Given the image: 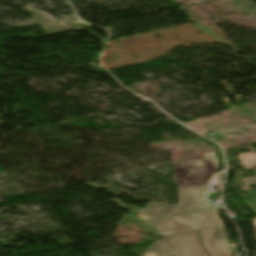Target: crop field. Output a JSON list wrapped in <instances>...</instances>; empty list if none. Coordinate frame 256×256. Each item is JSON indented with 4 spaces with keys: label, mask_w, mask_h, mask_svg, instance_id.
I'll return each instance as SVG.
<instances>
[{
    "label": "crop field",
    "mask_w": 256,
    "mask_h": 256,
    "mask_svg": "<svg viewBox=\"0 0 256 256\" xmlns=\"http://www.w3.org/2000/svg\"><path fill=\"white\" fill-rule=\"evenodd\" d=\"M183 5H186V4H192V2H190L189 0H175Z\"/></svg>",
    "instance_id": "d8731c3e"
},
{
    "label": "crop field",
    "mask_w": 256,
    "mask_h": 256,
    "mask_svg": "<svg viewBox=\"0 0 256 256\" xmlns=\"http://www.w3.org/2000/svg\"><path fill=\"white\" fill-rule=\"evenodd\" d=\"M192 1L198 3V2L207 1V0H192Z\"/></svg>",
    "instance_id": "5a996713"
},
{
    "label": "crop field",
    "mask_w": 256,
    "mask_h": 256,
    "mask_svg": "<svg viewBox=\"0 0 256 256\" xmlns=\"http://www.w3.org/2000/svg\"><path fill=\"white\" fill-rule=\"evenodd\" d=\"M139 216L141 217V219L145 222H149V218L145 215L144 211L142 210L141 212H139Z\"/></svg>",
    "instance_id": "e52e79f7"
},
{
    "label": "crop field",
    "mask_w": 256,
    "mask_h": 256,
    "mask_svg": "<svg viewBox=\"0 0 256 256\" xmlns=\"http://www.w3.org/2000/svg\"><path fill=\"white\" fill-rule=\"evenodd\" d=\"M244 168L256 169V150L253 147L249 148V153L238 154ZM242 190H249V185L256 184V177L243 178Z\"/></svg>",
    "instance_id": "dd49c442"
},
{
    "label": "crop field",
    "mask_w": 256,
    "mask_h": 256,
    "mask_svg": "<svg viewBox=\"0 0 256 256\" xmlns=\"http://www.w3.org/2000/svg\"><path fill=\"white\" fill-rule=\"evenodd\" d=\"M179 189L180 199L177 205L151 202L144 208L150 221L184 214L182 211L190 213L210 208L205 201L207 187H179Z\"/></svg>",
    "instance_id": "8a807250"
},
{
    "label": "crop field",
    "mask_w": 256,
    "mask_h": 256,
    "mask_svg": "<svg viewBox=\"0 0 256 256\" xmlns=\"http://www.w3.org/2000/svg\"><path fill=\"white\" fill-rule=\"evenodd\" d=\"M199 232L210 256H233L225 242L227 233L223 225L200 229Z\"/></svg>",
    "instance_id": "f4fd0767"
},
{
    "label": "crop field",
    "mask_w": 256,
    "mask_h": 256,
    "mask_svg": "<svg viewBox=\"0 0 256 256\" xmlns=\"http://www.w3.org/2000/svg\"><path fill=\"white\" fill-rule=\"evenodd\" d=\"M145 256H208L199 241L197 230L167 236L155 241Z\"/></svg>",
    "instance_id": "ac0d7876"
},
{
    "label": "crop field",
    "mask_w": 256,
    "mask_h": 256,
    "mask_svg": "<svg viewBox=\"0 0 256 256\" xmlns=\"http://www.w3.org/2000/svg\"><path fill=\"white\" fill-rule=\"evenodd\" d=\"M217 170L213 154L175 162L174 181L178 186H207Z\"/></svg>",
    "instance_id": "34b2d1b8"
},
{
    "label": "crop field",
    "mask_w": 256,
    "mask_h": 256,
    "mask_svg": "<svg viewBox=\"0 0 256 256\" xmlns=\"http://www.w3.org/2000/svg\"><path fill=\"white\" fill-rule=\"evenodd\" d=\"M253 221H254L255 231H256V217H255V218H253Z\"/></svg>",
    "instance_id": "3316defc"
},
{
    "label": "crop field",
    "mask_w": 256,
    "mask_h": 256,
    "mask_svg": "<svg viewBox=\"0 0 256 256\" xmlns=\"http://www.w3.org/2000/svg\"><path fill=\"white\" fill-rule=\"evenodd\" d=\"M157 230L161 236L220 225L215 209H209L173 218L147 223Z\"/></svg>",
    "instance_id": "412701ff"
}]
</instances>
